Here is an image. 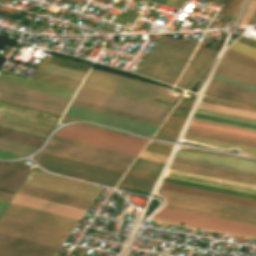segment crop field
I'll use <instances>...</instances> for the list:
<instances>
[{
	"mask_svg": "<svg viewBox=\"0 0 256 256\" xmlns=\"http://www.w3.org/2000/svg\"><path fill=\"white\" fill-rule=\"evenodd\" d=\"M165 208L209 215L247 224H256V208L158 190Z\"/></svg>",
	"mask_w": 256,
	"mask_h": 256,
	"instance_id": "obj_1",
	"label": "crop field"
},
{
	"mask_svg": "<svg viewBox=\"0 0 256 256\" xmlns=\"http://www.w3.org/2000/svg\"><path fill=\"white\" fill-rule=\"evenodd\" d=\"M43 152L125 172L135 156L52 136Z\"/></svg>",
	"mask_w": 256,
	"mask_h": 256,
	"instance_id": "obj_2",
	"label": "crop field"
},
{
	"mask_svg": "<svg viewBox=\"0 0 256 256\" xmlns=\"http://www.w3.org/2000/svg\"><path fill=\"white\" fill-rule=\"evenodd\" d=\"M81 87L172 109L173 106L152 101L158 85L91 69Z\"/></svg>",
	"mask_w": 256,
	"mask_h": 256,
	"instance_id": "obj_3",
	"label": "crop field"
},
{
	"mask_svg": "<svg viewBox=\"0 0 256 256\" xmlns=\"http://www.w3.org/2000/svg\"><path fill=\"white\" fill-rule=\"evenodd\" d=\"M192 49L157 41L136 73L173 85Z\"/></svg>",
	"mask_w": 256,
	"mask_h": 256,
	"instance_id": "obj_4",
	"label": "crop field"
},
{
	"mask_svg": "<svg viewBox=\"0 0 256 256\" xmlns=\"http://www.w3.org/2000/svg\"><path fill=\"white\" fill-rule=\"evenodd\" d=\"M48 171L114 188L122 172L41 152L37 161Z\"/></svg>",
	"mask_w": 256,
	"mask_h": 256,
	"instance_id": "obj_5",
	"label": "crop field"
},
{
	"mask_svg": "<svg viewBox=\"0 0 256 256\" xmlns=\"http://www.w3.org/2000/svg\"><path fill=\"white\" fill-rule=\"evenodd\" d=\"M55 135L135 156L138 155L146 144L144 140L80 124L68 125L56 132Z\"/></svg>",
	"mask_w": 256,
	"mask_h": 256,
	"instance_id": "obj_6",
	"label": "crop field"
},
{
	"mask_svg": "<svg viewBox=\"0 0 256 256\" xmlns=\"http://www.w3.org/2000/svg\"><path fill=\"white\" fill-rule=\"evenodd\" d=\"M82 102L118 110L121 112L157 120L163 122L169 109L160 108L88 89H79L77 95L74 98Z\"/></svg>",
	"mask_w": 256,
	"mask_h": 256,
	"instance_id": "obj_7",
	"label": "crop field"
},
{
	"mask_svg": "<svg viewBox=\"0 0 256 256\" xmlns=\"http://www.w3.org/2000/svg\"><path fill=\"white\" fill-rule=\"evenodd\" d=\"M0 100L62 115L69 99L0 82Z\"/></svg>",
	"mask_w": 256,
	"mask_h": 256,
	"instance_id": "obj_8",
	"label": "crop field"
},
{
	"mask_svg": "<svg viewBox=\"0 0 256 256\" xmlns=\"http://www.w3.org/2000/svg\"><path fill=\"white\" fill-rule=\"evenodd\" d=\"M0 232L60 247L69 231L3 215Z\"/></svg>",
	"mask_w": 256,
	"mask_h": 256,
	"instance_id": "obj_9",
	"label": "crop field"
},
{
	"mask_svg": "<svg viewBox=\"0 0 256 256\" xmlns=\"http://www.w3.org/2000/svg\"><path fill=\"white\" fill-rule=\"evenodd\" d=\"M25 184L93 200L101 187L31 169Z\"/></svg>",
	"mask_w": 256,
	"mask_h": 256,
	"instance_id": "obj_10",
	"label": "crop field"
},
{
	"mask_svg": "<svg viewBox=\"0 0 256 256\" xmlns=\"http://www.w3.org/2000/svg\"><path fill=\"white\" fill-rule=\"evenodd\" d=\"M155 218L177 221L197 226L235 232L245 235L256 236V226L238 222L223 220L214 217L185 213L162 208L155 215Z\"/></svg>",
	"mask_w": 256,
	"mask_h": 256,
	"instance_id": "obj_11",
	"label": "crop field"
},
{
	"mask_svg": "<svg viewBox=\"0 0 256 256\" xmlns=\"http://www.w3.org/2000/svg\"><path fill=\"white\" fill-rule=\"evenodd\" d=\"M166 175L256 192V186H254V185H249V184H244V183H239V182H234V181H229V180H223V179H217V178H211V177H205V176H199V175H193V174L176 171V170H171V169L168 170ZM168 176L165 177V179H164L165 182L193 186V187H198V188H204V189H209V190H214V191H220V192H226V193L256 198V193L242 191V190H236V189H231V188H226V187H221V186H215V185H210V184H205V183H200V182H194V181H189V180H184V179H179V178H173V177H168Z\"/></svg>",
	"mask_w": 256,
	"mask_h": 256,
	"instance_id": "obj_12",
	"label": "crop field"
},
{
	"mask_svg": "<svg viewBox=\"0 0 256 256\" xmlns=\"http://www.w3.org/2000/svg\"><path fill=\"white\" fill-rule=\"evenodd\" d=\"M65 115L89 121L93 120L110 126L141 132L145 134H153L155 130L158 128L157 126H153L150 124L130 120L127 118L107 114L104 112L92 110L89 108L73 104H70Z\"/></svg>",
	"mask_w": 256,
	"mask_h": 256,
	"instance_id": "obj_13",
	"label": "crop field"
},
{
	"mask_svg": "<svg viewBox=\"0 0 256 256\" xmlns=\"http://www.w3.org/2000/svg\"><path fill=\"white\" fill-rule=\"evenodd\" d=\"M58 247L0 233V256H54Z\"/></svg>",
	"mask_w": 256,
	"mask_h": 256,
	"instance_id": "obj_14",
	"label": "crop field"
},
{
	"mask_svg": "<svg viewBox=\"0 0 256 256\" xmlns=\"http://www.w3.org/2000/svg\"><path fill=\"white\" fill-rule=\"evenodd\" d=\"M12 208V210H9ZM5 214L21 217L24 219L36 221L39 223L55 226L58 228L66 229L72 231L76 223L78 222L77 219L17 205L10 203Z\"/></svg>",
	"mask_w": 256,
	"mask_h": 256,
	"instance_id": "obj_15",
	"label": "crop field"
},
{
	"mask_svg": "<svg viewBox=\"0 0 256 256\" xmlns=\"http://www.w3.org/2000/svg\"><path fill=\"white\" fill-rule=\"evenodd\" d=\"M175 157L197 161V162H201V163H205L213 166H219L224 168L256 173V162L248 161V160H242V159L226 157L221 155H214V154L181 151V150L177 151Z\"/></svg>",
	"mask_w": 256,
	"mask_h": 256,
	"instance_id": "obj_16",
	"label": "crop field"
},
{
	"mask_svg": "<svg viewBox=\"0 0 256 256\" xmlns=\"http://www.w3.org/2000/svg\"><path fill=\"white\" fill-rule=\"evenodd\" d=\"M18 193L38 197L41 199L61 203L64 205L80 208L86 210L88 205L91 203L90 200L62 194V193H57L29 185L22 184L20 189L18 190Z\"/></svg>",
	"mask_w": 256,
	"mask_h": 256,
	"instance_id": "obj_17",
	"label": "crop field"
},
{
	"mask_svg": "<svg viewBox=\"0 0 256 256\" xmlns=\"http://www.w3.org/2000/svg\"><path fill=\"white\" fill-rule=\"evenodd\" d=\"M160 188L256 207V199L243 197V196H237V195L214 192V191L203 190L198 188L180 186V185H175V184H170L165 182L162 183Z\"/></svg>",
	"mask_w": 256,
	"mask_h": 256,
	"instance_id": "obj_18",
	"label": "crop field"
},
{
	"mask_svg": "<svg viewBox=\"0 0 256 256\" xmlns=\"http://www.w3.org/2000/svg\"><path fill=\"white\" fill-rule=\"evenodd\" d=\"M215 74L256 86V69L221 58Z\"/></svg>",
	"mask_w": 256,
	"mask_h": 256,
	"instance_id": "obj_19",
	"label": "crop field"
},
{
	"mask_svg": "<svg viewBox=\"0 0 256 256\" xmlns=\"http://www.w3.org/2000/svg\"><path fill=\"white\" fill-rule=\"evenodd\" d=\"M0 81L12 83L15 85L31 88L34 90L50 93L53 95H57V96H61L69 99H71V97L75 93V90L63 88L60 86L48 84L41 81H31L26 78L15 77V76H11L1 72H0Z\"/></svg>",
	"mask_w": 256,
	"mask_h": 256,
	"instance_id": "obj_20",
	"label": "crop field"
},
{
	"mask_svg": "<svg viewBox=\"0 0 256 256\" xmlns=\"http://www.w3.org/2000/svg\"><path fill=\"white\" fill-rule=\"evenodd\" d=\"M214 57L196 51L187 69L183 73L177 87L187 90L192 83L211 64Z\"/></svg>",
	"mask_w": 256,
	"mask_h": 256,
	"instance_id": "obj_21",
	"label": "crop field"
},
{
	"mask_svg": "<svg viewBox=\"0 0 256 256\" xmlns=\"http://www.w3.org/2000/svg\"><path fill=\"white\" fill-rule=\"evenodd\" d=\"M27 171V168L0 161V188L15 192Z\"/></svg>",
	"mask_w": 256,
	"mask_h": 256,
	"instance_id": "obj_22",
	"label": "crop field"
},
{
	"mask_svg": "<svg viewBox=\"0 0 256 256\" xmlns=\"http://www.w3.org/2000/svg\"><path fill=\"white\" fill-rule=\"evenodd\" d=\"M171 164L194 168V169H199V170L211 171V172H216V173H221V174H226V175H231V176H235V177H240V178H245V179H250V180L256 181V174H252V173H246V172H241V171L213 167V166H209V165H205V164H201V163L183 161V160H179V159H175V158L173 159Z\"/></svg>",
	"mask_w": 256,
	"mask_h": 256,
	"instance_id": "obj_23",
	"label": "crop field"
},
{
	"mask_svg": "<svg viewBox=\"0 0 256 256\" xmlns=\"http://www.w3.org/2000/svg\"><path fill=\"white\" fill-rule=\"evenodd\" d=\"M32 78L37 79V80L47 81L50 83H54V84L68 87V88L75 89V90H77L78 86L81 83V80L45 72V71L38 70V69H36Z\"/></svg>",
	"mask_w": 256,
	"mask_h": 256,
	"instance_id": "obj_24",
	"label": "crop field"
},
{
	"mask_svg": "<svg viewBox=\"0 0 256 256\" xmlns=\"http://www.w3.org/2000/svg\"><path fill=\"white\" fill-rule=\"evenodd\" d=\"M0 138L35 146V147L40 146L45 141V138L21 133L18 131H14V130L2 128V127H0Z\"/></svg>",
	"mask_w": 256,
	"mask_h": 256,
	"instance_id": "obj_25",
	"label": "crop field"
},
{
	"mask_svg": "<svg viewBox=\"0 0 256 256\" xmlns=\"http://www.w3.org/2000/svg\"><path fill=\"white\" fill-rule=\"evenodd\" d=\"M186 135L256 148L255 141L243 140V139L227 137V136H222V135H217V134H212V133H207V132H201V131H196V130H191V129H188Z\"/></svg>",
	"mask_w": 256,
	"mask_h": 256,
	"instance_id": "obj_26",
	"label": "crop field"
},
{
	"mask_svg": "<svg viewBox=\"0 0 256 256\" xmlns=\"http://www.w3.org/2000/svg\"><path fill=\"white\" fill-rule=\"evenodd\" d=\"M206 93L215 95V96H219V97H223V98H227V99H231V100H235V101H239V102H243V103L256 105V99H254V98L246 97L243 95H239L236 93L228 92V91L210 87V86L208 87Z\"/></svg>",
	"mask_w": 256,
	"mask_h": 256,
	"instance_id": "obj_27",
	"label": "crop field"
},
{
	"mask_svg": "<svg viewBox=\"0 0 256 256\" xmlns=\"http://www.w3.org/2000/svg\"><path fill=\"white\" fill-rule=\"evenodd\" d=\"M184 138L192 140V141H196V142H199V143H203V144H206V145H210V146H213V147H217V148H233V147H238V148L241 149L242 153L248 154V155H252V156H256V149L242 147V146H237V145H231V144H226V143H221V142H215V141H210V140H205V139L187 137V136H185Z\"/></svg>",
	"mask_w": 256,
	"mask_h": 256,
	"instance_id": "obj_28",
	"label": "crop field"
},
{
	"mask_svg": "<svg viewBox=\"0 0 256 256\" xmlns=\"http://www.w3.org/2000/svg\"><path fill=\"white\" fill-rule=\"evenodd\" d=\"M210 86L218 87L221 89L229 90L232 92H236L239 94H243V95H247V96L256 98L255 91L248 90V89L236 86V85H232V84H229V83H226V82L214 79V78L212 79Z\"/></svg>",
	"mask_w": 256,
	"mask_h": 256,
	"instance_id": "obj_29",
	"label": "crop field"
},
{
	"mask_svg": "<svg viewBox=\"0 0 256 256\" xmlns=\"http://www.w3.org/2000/svg\"><path fill=\"white\" fill-rule=\"evenodd\" d=\"M72 103L77 104V105H81V106H85V107H89V108H93V109H96V110L104 111V112H107V113L127 117V118H130V119H134V120H138V121L158 125V126H160V124H161L160 122H157V121H153V120H149V119H145V118H141V117L121 113V112H118V111H114V110H110V109H106V108H102V107H98V106H94V105H90V104H86V103H82V102H78V101H74V100L72 101Z\"/></svg>",
	"mask_w": 256,
	"mask_h": 256,
	"instance_id": "obj_30",
	"label": "crop field"
},
{
	"mask_svg": "<svg viewBox=\"0 0 256 256\" xmlns=\"http://www.w3.org/2000/svg\"><path fill=\"white\" fill-rule=\"evenodd\" d=\"M0 149L25 155L36 148L0 139Z\"/></svg>",
	"mask_w": 256,
	"mask_h": 256,
	"instance_id": "obj_31",
	"label": "crop field"
},
{
	"mask_svg": "<svg viewBox=\"0 0 256 256\" xmlns=\"http://www.w3.org/2000/svg\"><path fill=\"white\" fill-rule=\"evenodd\" d=\"M171 169H176V170H181L193 174H199V175H205V176H211V177H217V178H223V179H229V180H234V181H239V182H244V183H249V184H254L256 185L255 181H250V180H245V179H240V178H235L231 176H226V175H221V174H216V173H211V172H205V171H199V170H194V169H189V168H183V167H178V166H170Z\"/></svg>",
	"mask_w": 256,
	"mask_h": 256,
	"instance_id": "obj_32",
	"label": "crop field"
},
{
	"mask_svg": "<svg viewBox=\"0 0 256 256\" xmlns=\"http://www.w3.org/2000/svg\"><path fill=\"white\" fill-rule=\"evenodd\" d=\"M223 57H226L228 59L237 61L239 63L251 66L253 68H256V59L255 58L246 56L244 54H241V53H238L236 51L230 50L228 48L225 50V52L223 54Z\"/></svg>",
	"mask_w": 256,
	"mask_h": 256,
	"instance_id": "obj_33",
	"label": "crop field"
},
{
	"mask_svg": "<svg viewBox=\"0 0 256 256\" xmlns=\"http://www.w3.org/2000/svg\"><path fill=\"white\" fill-rule=\"evenodd\" d=\"M155 180L125 174L120 182L151 189Z\"/></svg>",
	"mask_w": 256,
	"mask_h": 256,
	"instance_id": "obj_34",
	"label": "crop field"
},
{
	"mask_svg": "<svg viewBox=\"0 0 256 256\" xmlns=\"http://www.w3.org/2000/svg\"><path fill=\"white\" fill-rule=\"evenodd\" d=\"M196 113L256 125V120H253V119L237 117V116H232V115H227V114H221V113H216V112H211V111H205V110H200V109H198Z\"/></svg>",
	"mask_w": 256,
	"mask_h": 256,
	"instance_id": "obj_35",
	"label": "crop field"
},
{
	"mask_svg": "<svg viewBox=\"0 0 256 256\" xmlns=\"http://www.w3.org/2000/svg\"><path fill=\"white\" fill-rule=\"evenodd\" d=\"M44 70L69 76V77H73V78H77V79H81V80H83L85 76V73H81V72H77V71H73V70H69V69H65V68H61V67H57L49 64H47Z\"/></svg>",
	"mask_w": 256,
	"mask_h": 256,
	"instance_id": "obj_36",
	"label": "crop field"
},
{
	"mask_svg": "<svg viewBox=\"0 0 256 256\" xmlns=\"http://www.w3.org/2000/svg\"><path fill=\"white\" fill-rule=\"evenodd\" d=\"M229 48L256 58V48L235 41Z\"/></svg>",
	"mask_w": 256,
	"mask_h": 256,
	"instance_id": "obj_37",
	"label": "crop field"
},
{
	"mask_svg": "<svg viewBox=\"0 0 256 256\" xmlns=\"http://www.w3.org/2000/svg\"><path fill=\"white\" fill-rule=\"evenodd\" d=\"M194 122H200V123H205V124H210V125H216V126H221V127H226V128H232V129H237V130H242V131H248V132H253L256 133V130L253 129H247V128H242V127H237V126H232V125H227V124H222V123H217V122H211V121H206V120H201V119H193Z\"/></svg>",
	"mask_w": 256,
	"mask_h": 256,
	"instance_id": "obj_38",
	"label": "crop field"
},
{
	"mask_svg": "<svg viewBox=\"0 0 256 256\" xmlns=\"http://www.w3.org/2000/svg\"><path fill=\"white\" fill-rule=\"evenodd\" d=\"M163 40H166V41H169L171 43H174V44H177V45H181V46H184V47L192 48V49H194L195 46H196V44L184 42V41H181L179 39L168 37V36H164V35H163Z\"/></svg>",
	"mask_w": 256,
	"mask_h": 256,
	"instance_id": "obj_39",
	"label": "crop field"
},
{
	"mask_svg": "<svg viewBox=\"0 0 256 256\" xmlns=\"http://www.w3.org/2000/svg\"><path fill=\"white\" fill-rule=\"evenodd\" d=\"M189 128H191V129H197V130H203V131H208V132H214V133H220V134H226V135H231V136H236V137H241V138H245V139H250V140H255V141H256V138L245 137V136L236 135V134H231V133L222 132V131H217V130H213V129L200 128V127H193V126H190Z\"/></svg>",
	"mask_w": 256,
	"mask_h": 256,
	"instance_id": "obj_40",
	"label": "crop field"
},
{
	"mask_svg": "<svg viewBox=\"0 0 256 256\" xmlns=\"http://www.w3.org/2000/svg\"><path fill=\"white\" fill-rule=\"evenodd\" d=\"M198 51L204 52V53L212 55V56H215V54L217 52V50L202 47V46H199Z\"/></svg>",
	"mask_w": 256,
	"mask_h": 256,
	"instance_id": "obj_41",
	"label": "crop field"
},
{
	"mask_svg": "<svg viewBox=\"0 0 256 256\" xmlns=\"http://www.w3.org/2000/svg\"><path fill=\"white\" fill-rule=\"evenodd\" d=\"M11 197H12V194L0 192V200H4V201H8L9 202Z\"/></svg>",
	"mask_w": 256,
	"mask_h": 256,
	"instance_id": "obj_42",
	"label": "crop field"
},
{
	"mask_svg": "<svg viewBox=\"0 0 256 256\" xmlns=\"http://www.w3.org/2000/svg\"><path fill=\"white\" fill-rule=\"evenodd\" d=\"M8 202L0 201V216L4 212L5 208L7 207Z\"/></svg>",
	"mask_w": 256,
	"mask_h": 256,
	"instance_id": "obj_43",
	"label": "crop field"
},
{
	"mask_svg": "<svg viewBox=\"0 0 256 256\" xmlns=\"http://www.w3.org/2000/svg\"><path fill=\"white\" fill-rule=\"evenodd\" d=\"M196 118H201V119H206V120H211V119H207V118H202V117H197V116H194ZM211 121H216V120H211ZM217 122H221V121H217ZM222 123H226V122H222ZM227 124H231V123H227ZM232 125H235V124H232ZM237 126H240V125H237ZM242 127H245V126H242ZM247 128H252V127H247ZM253 129H256V128H253Z\"/></svg>",
	"mask_w": 256,
	"mask_h": 256,
	"instance_id": "obj_44",
	"label": "crop field"
},
{
	"mask_svg": "<svg viewBox=\"0 0 256 256\" xmlns=\"http://www.w3.org/2000/svg\"><path fill=\"white\" fill-rule=\"evenodd\" d=\"M175 1H176V0H167V2L165 3V5L172 7V5L174 4Z\"/></svg>",
	"mask_w": 256,
	"mask_h": 256,
	"instance_id": "obj_45",
	"label": "crop field"
},
{
	"mask_svg": "<svg viewBox=\"0 0 256 256\" xmlns=\"http://www.w3.org/2000/svg\"><path fill=\"white\" fill-rule=\"evenodd\" d=\"M151 1L157 2L162 5H164V3L166 2V0H151Z\"/></svg>",
	"mask_w": 256,
	"mask_h": 256,
	"instance_id": "obj_46",
	"label": "crop field"
},
{
	"mask_svg": "<svg viewBox=\"0 0 256 256\" xmlns=\"http://www.w3.org/2000/svg\"><path fill=\"white\" fill-rule=\"evenodd\" d=\"M252 20L256 21V12H255V14L252 17Z\"/></svg>",
	"mask_w": 256,
	"mask_h": 256,
	"instance_id": "obj_47",
	"label": "crop field"
}]
</instances>
